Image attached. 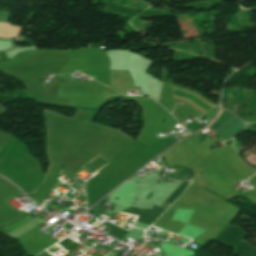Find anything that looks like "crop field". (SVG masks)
<instances>
[{
  "label": "crop field",
  "mask_w": 256,
  "mask_h": 256,
  "mask_svg": "<svg viewBox=\"0 0 256 256\" xmlns=\"http://www.w3.org/2000/svg\"><path fill=\"white\" fill-rule=\"evenodd\" d=\"M244 123L239 118H234L232 121L217 130V134L228 140L243 130Z\"/></svg>",
  "instance_id": "crop-field-1"
},
{
  "label": "crop field",
  "mask_w": 256,
  "mask_h": 256,
  "mask_svg": "<svg viewBox=\"0 0 256 256\" xmlns=\"http://www.w3.org/2000/svg\"><path fill=\"white\" fill-rule=\"evenodd\" d=\"M187 186V182H182L181 185L178 188H176L173 191V193L168 197V199L161 205V207L166 209L171 203L175 201L176 198H178L181 195V193Z\"/></svg>",
  "instance_id": "crop-field-3"
},
{
  "label": "crop field",
  "mask_w": 256,
  "mask_h": 256,
  "mask_svg": "<svg viewBox=\"0 0 256 256\" xmlns=\"http://www.w3.org/2000/svg\"><path fill=\"white\" fill-rule=\"evenodd\" d=\"M13 206V205H12ZM16 208V207H15Z\"/></svg>",
  "instance_id": "crop-field-4"
},
{
  "label": "crop field",
  "mask_w": 256,
  "mask_h": 256,
  "mask_svg": "<svg viewBox=\"0 0 256 256\" xmlns=\"http://www.w3.org/2000/svg\"><path fill=\"white\" fill-rule=\"evenodd\" d=\"M224 109H222L223 111ZM222 111L220 112V114L222 113ZM219 114V116H220ZM218 116V118H219ZM234 117H236L235 115H233L232 113L228 112L227 110H224V112L221 114L220 118L216 121L214 120L215 123H211L209 124L207 127L208 128H213V129H217L219 128L220 126H222L223 124H225L226 122H228L229 120L233 119Z\"/></svg>",
  "instance_id": "crop-field-2"
}]
</instances>
